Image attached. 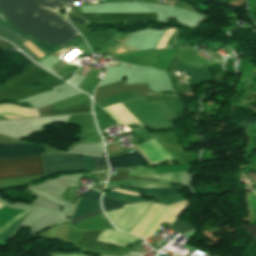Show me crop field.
Listing matches in <instances>:
<instances>
[{"mask_svg":"<svg viewBox=\"0 0 256 256\" xmlns=\"http://www.w3.org/2000/svg\"><path fill=\"white\" fill-rule=\"evenodd\" d=\"M0 26L1 27H4V28H7L9 30H12L16 33H18L19 35H21L23 38H25L29 43H31L34 47H36L38 50H40L42 53L46 54L47 52H50L51 50H53L54 48L52 47H49L45 44H42L40 42H37L35 40H33L35 43H37L39 46H41L44 50H46L47 52H45L43 49H41L39 46H37L35 43H33L31 40H29L27 37L23 36L22 34H20L19 32H17L15 29H13L12 27H10L9 25H7L5 22H3L2 20H0ZM0 27V32L8 35V36H11L12 38L16 39L18 42H20L21 44L26 42V40H24L21 36H19L18 34L12 32V31H9V30H6L4 28H1ZM0 33V37L11 42L12 44L16 45L17 47H19L21 49V51L23 53H25L26 55H28L30 58H32L33 60H35L36 58L44 55L42 54L40 51H38L36 48H34L31 44H29L28 42L23 44L28 50H30L32 53H34L35 55H37L38 57H36L34 54H32L30 51H28L24 46H22L20 43H18L16 40L4 35Z\"/></svg>","mask_w":256,"mask_h":256,"instance_id":"crop-field-6","label":"crop field"},{"mask_svg":"<svg viewBox=\"0 0 256 256\" xmlns=\"http://www.w3.org/2000/svg\"><path fill=\"white\" fill-rule=\"evenodd\" d=\"M108 161H109L111 167L130 166V165H136V164L146 162L136 152L118 156V157H114V158H110V159H108Z\"/></svg>","mask_w":256,"mask_h":256,"instance_id":"crop-field-9","label":"crop field"},{"mask_svg":"<svg viewBox=\"0 0 256 256\" xmlns=\"http://www.w3.org/2000/svg\"><path fill=\"white\" fill-rule=\"evenodd\" d=\"M136 203V202H123L116 199L103 197V209L104 211H109L116 208H122L123 204Z\"/></svg>","mask_w":256,"mask_h":256,"instance_id":"crop-field-15","label":"crop field"},{"mask_svg":"<svg viewBox=\"0 0 256 256\" xmlns=\"http://www.w3.org/2000/svg\"><path fill=\"white\" fill-rule=\"evenodd\" d=\"M41 174L44 173L40 155L0 159V179H13Z\"/></svg>","mask_w":256,"mask_h":256,"instance_id":"crop-field-2","label":"crop field"},{"mask_svg":"<svg viewBox=\"0 0 256 256\" xmlns=\"http://www.w3.org/2000/svg\"><path fill=\"white\" fill-rule=\"evenodd\" d=\"M98 74H99V71L90 70L86 78L84 79V81L79 86V89L92 95L97 83L99 82V79L96 78Z\"/></svg>","mask_w":256,"mask_h":256,"instance_id":"crop-field-11","label":"crop field"},{"mask_svg":"<svg viewBox=\"0 0 256 256\" xmlns=\"http://www.w3.org/2000/svg\"><path fill=\"white\" fill-rule=\"evenodd\" d=\"M39 153H44V147L26 144L0 143V158L18 157Z\"/></svg>","mask_w":256,"mask_h":256,"instance_id":"crop-field-7","label":"crop field"},{"mask_svg":"<svg viewBox=\"0 0 256 256\" xmlns=\"http://www.w3.org/2000/svg\"><path fill=\"white\" fill-rule=\"evenodd\" d=\"M98 208H100L98 204L93 203L84 198H81V201H80L79 205L77 206L76 211L74 212L72 218L79 216L81 214L87 213L89 211L98 209Z\"/></svg>","mask_w":256,"mask_h":256,"instance_id":"crop-field-14","label":"crop field"},{"mask_svg":"<svg viewBox=\"0 0 256 256\" xmlns=\"http://www.w3.org/2000/svg\"><path fill=\"white\" fill-rule=\"evenodd\" d=\"M136 148L139 150V152L144 156V158L152 165V163L149 161V159L142 153V151L136 146Z\"/></svg>","mask_w":256,"mask_h":256,"instance_id":"crop-field-22","label":"crop field"},{"mask_svg":"<svg viewBox=\"0 0 256 256\" xmlns=\"http://www.w3.org/2000/svg\"><path fill=\"white\" fill-rule=\"evenodd\" d=\"M76 0H0V11L24 33L64 47L79 34L66 18L56 16L54 8L65 9Z\"/></svg>","mask_w":256,"mask_h":256,"instance_id":"crop-field-1","label":"crop field"},{"mask_svg":"<svg viewBox=\"0 0 256 256\" xmlns=\"http://www.w3.org/2000/svg\"><path fill=\"white\" fill-rule=\"evenodd\" d=\"M84 197H87V198H89V199L99 203L100 194H98V193H96L94 191H90V192L86 193L84 195Z\"/></svg>","mask_w":256,"mask_h":256,"instance_id":"crop-field-20","label":"crop field"},{"mask_svg":"<svg viewBox=\"0 0 256 256\" xmlns=\"http://www.w3.org/2000/svg\"><path fill=\"white\" fill-rule=\"evenodd\" d=\"M151 203L124 205L123 209L106 212L117 229L129 232Z\"/></svg>","mask_w":256,"mask_h":256,"instance_id":"crop-field-5","label":"crop field"},{"mask_svg":"<svg viewBox=\"0 0 256 256\" xmlns=\"http://www.w3.org/2000/svg\"><path fill=\"white\" fill-rule=\"evenodd\" d=\"M30 212V211H29ZM28 212V213H29ZM27 213V214H28ZM26 214V215H27ZM25 215V216H26ZM25 216L23 217V218H21L19 221H17L16 223H14L10 228H8L7 230H5L3 233H1L0 234V238H2V239H8L13 233H14V231L20 226V222L25 218ZM28 216V215H27ZM26 216V217H27Z\"/></svg>","mask_w":256,"mask_h":256,"instance_id":"crop-field-17","label":"crop field"},{"mask_svg":"<svg viewBox=\"0 0 256 256\" xmlns=\"http://www.w3.org/2000/svg\"><path fill=\"white\" fill-rule=\"evenodd\" d=\"M1 115L4 116L7 119L23 118V117L16 116L14 114H1Z\"/></svg>","mask_w":256,"mask_h":256,"instance_id":"crop-field-21","label":"crop field"},{"mask_svg":"<svg viewBox=\"0 0 256 256\" xmlns=\"http://www.w3.org/2000/svg\"><path fill=\"white\" fill-rule=\"evenodd\" d=\"M45 175L85 170L82 155L78 154H45L42 155Z\"/></svg>","mask_w":256,"mask_h":256,"instance_id":"crop-field-4","label":"crop field"},{"mask_svg":"<svg viewBox=\"0 0 256 256\" xmlns=\"http://www.w3.org/2000/svg\"><path fill=\"white\" fill-rule=\"evenodd\" d=\"M83 158H84V163H85V166H86V170H87V171H88V170H95V169H96V170H99V169L108 168L104 156H102V157H92V158H93L94 165H95V169H94V165H93V162H92V158H91V157L83 155Z\"/></svg>","mask_w":256,"mask_h":256,"instance_id":"crop-field-13","label":"crop field"},{"mask_svg":"<svg viewBox=\"0 0 256 256\" xmlns=\"http://www.w3.org/2000/svg\"><path fill=\"white\" fill-rule=\"evenodd\" d=\"M170 227L184 233L188 230H191L193 229V227L189 224V223H186V222H182V221H179L177 220L175 223H173Z\"/></svg>","mask_w":256,"mask_h":256,"instance_id":"crop-field-18","label":"crop field"},{"mask_svg":"<svg viewBox=\"0 0 256 256\" xmlns=\"http://www.w3.org/2000/svg\"><path fill=\"white\" fill-rule=\"evenodd\" d=\"M126 188H134V189H138V190H147V192L145 194H142V196H149V197H155V198H160L163 197L167 194L170 193H174L177 192L178 190H176L175 188H164V189H157V188H150V189H141V188H135V187H130V186H126ZM116 190H120V191H125V190H121V189H116ZM116 190H112V191H116ZM120 191H116V192H120ZM125 192H130V191H125ZM125 192H120V193H124V194H129V193H125ZM130 193H134V194H139V193H135V192H130ZM134 194H129V195H133V196H139V195H134ZM156 200V199H154ZM153 201V200H152Z\"/></svg>","mask_w":256,"mask_h":256,"instance_id":"crop-field-10","label":"crop field"},{"mask_svg":"<svg viewBox=\"0 0 256 256\" xmlns=\"http://www.w3.org/2000/svg\"><path fill=\"white\" fill-rule=\"evenodd\" d=\"M38 110L41 116L91 113V100L82 93Z\"/></svg>","mask_w":256,"mask_h":256,"instance_id":"crop-field-3","label":"crop field"},{"mask_svg":"<svg viewBox=\"0 0 256 256\" xmlns=\"http://www.w3.org/2000/svg\"><path fill=\"white\" fill-rule=\"evenodd\" d=\"M106 196L116 198V199H120V200H125V201H140V199H138L137 197L112 192L110 190L106 193Z\"/></svg>","mask_w":256,"mask_h":256,"instance_id":"crop-field-16","label":"crop field"},{"mask_svg":"<svg viewBox=\"0 0 256 256\" xmlns=\"http://www.w3.org/2000/svg\"><path fill=\"white\" fill-rule=\"evenodd\" d=\"M100 213H102L101 209H98V210L89 212L87 214L81 215L79 217H76V218L72 219L71 225L73 226V225H75V224H77V223H79V222H81V221H83V220L93 216V215H97V214H100Z\"/></svg>","mask_w":256,"mask_h":256,"instance_id":"crop-field-19","label":"crop field"},{"mask_svg":"<svg viewBox=\"0 0 256 256\" xmlns=\"http://www.w3.org/2000/svg\"><path fill=\"white\" fill-rule=\"evenodd\" d=\"M97 240L126 247L140 239L131 235L120 233L115 230H103Z\"/></svg>","mask_w":256,"mask_h":256,"instance_id":"crop-field-8","label":"crop field"},{"mask_svg":"<svg viewBox=\"0 0 256 256\" xmlns=\"http://www.w3.org/2000/svg\"><path fill=\"white\" fill-rule=\"evenodd\" d=\"M137 167L132 168H118L117 174L128 175ZM122 175H115L109 178L108 181H144V180H155L158 179H151V178H139V177H131V176H122Z\"/></svg>","mask_w":256,"mask_h":256,"instance_id":"crop-field-12","label":"crop field"},{"mask_svg":"<svg viewBox=\"0 0 256 256\" xmlns=\"http://www.w3.org/2000/svg\"><path fill=\"white\" fill-rule=\"evenodd\" d=\"M118 125H120V123H118Z\"/></svg>","mask_w":256,"mask_h":256,"instance_id":"crop-field-23","label":"crop field"}]
</instances>
